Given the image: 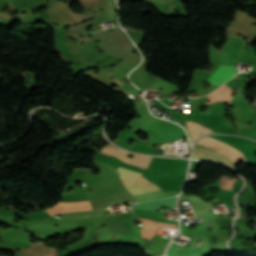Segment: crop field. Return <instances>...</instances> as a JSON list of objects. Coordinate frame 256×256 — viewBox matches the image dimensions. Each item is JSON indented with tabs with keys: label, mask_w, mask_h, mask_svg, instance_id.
Masks as SVG:
<instances>
[{
	"label": "crop field",
	"mask_w": 256,
	"mask_h": 256,
	"mask_svg": "<svg viewBox=\"0 0 256 256\" xmlns=\"http://www.w3.org/2000/svg\"><path fill=\"white\" fill-rule=\"evenodd\" d=\"M115 170L117 171V173L119 174V176L121 177L123 182L144 177L138 171L128 169V168H124V167H119ZM143 179H145V178H143ZM129 182H131V181H129ZM124 185L134 195L141 194V193H146V192H150V191H155V190H160L159 187H157L154 183H152L148 179L140 180V181H136V182H131V183H126Z\"/></svg>",
	"instance_id": "8a807250"
},
{
	"label": "crop field",
	"mask_w": 256,
	"mask_h": 256,
	"mask_svg": "<svg viewBox=\"0 0 256 256\" xmlns=\"http://www.w3.org/2000/svg\"><path fill=\"white\" fill-rule=\"evenodd\" d=\"M176 196L156 199L152 201H144L133 206L135 214H147L157 217H162V213H170V210H162L161 207L176 208L175 206ZM156 209H160L161 212H156Z\"/></svg>",
	"instance_id": "ac0d7876"
},
{
	"label": "crop field",
	"mask_w": 256,
	"mask_h": 256,
	"mask_svg": "<svg viewBox=\"0 0 256 256\" xmlns=\"http://www.w3.org/2000/svg\"><path fill=\"white\" fill-rule=\"evenodd\" d=\"M192 158L211 160L233 169L238 162L226 157L220 152L195 143Z\"/></svg>",
	"instance_id": "34b2d1b8"
},
{
	"label": "crop field",
	"mask_w": 256,
	"mask_h": 256,
	"mask_svg": "<svg viewBox=\"0 0 256 256\" xmlns=\"http://www.w3.org/2000/svg\"><path fill=\"white\" fill-rule=\"evenodd\" d=\"M101 152L107 155L116 156L124 162H127L137 167L145 168V169H147L149 163L153 158V157H146V156L134 155V154H133L134 155L133 158H129L127 157L129 153L120 151L114 148L113 146H110L109 144L103 147Z\"/></svg>",
	"instance_id": "412701ff"
},
{
	"label": "crop field",
	"mask_w": 256,
	"mask_h": 256,
	"mask_svg": "<svg viewBox=\"0 0 256 256\" xmlns=\"http://www.w3.org/2000/svg\"><path fill=\"white\" fill-rule=\"evenodd\" d=\"M134 105L138 112L137 115L141 116V118H133L131 121H129L132 128L131 130L135 132L138 130H142L159 120L158 118L151 115V113L147 109V105L145 104V102L140 103L139 101H134Z\"/></svg>",
	"instance_id": "f4fd0767"
},
{
	"label": "crop field",
	"mask_w": 256,
	"mask_h": 256,
	"mask_svg": "<svg viewBox=\"0 0 256 256\" xmlns=\"http://www.w3.org/2000/svg\"><path fill=\"white\" fill-rule=\"evenodd\" d=\"M235 72L236 70L234 69V66H219L218 69L207 80V82L210 85L223 84V82L230 79Z\"/></svg>",
	"instance_id": "dd49c442"
},
{
	"label": "crop field",
	"mask_w": 256,
	"mask_h": 256,
	"mask_svg": "<svg viewBox=\"0 0 256 256\" xmlns=\"http://www.w3.org/2000/svg\"><path fill=\"white\" fill-rule=\"evenodd\" d=\"M171 114L180 115V116L203 118V119H206L208 126L214 128L216 130H219V131L228 132L222 118L220 116H217V115H214V114L203 113L199 116H195V115H191V114H184V113H171Z\"/></svg>",
	"instance_id": "e52e79f7"
},
{
	"label": "crop field",
	"mask_w": 256,
	"mask_h": 256,
	"mask_svg": "<svg viewBox=\"0 0 256 256\" xmlns=\"http://www.w3.org/2000/svg\"><path fill=\"white\" fill-rule=\"evenodd\" d=\"M137 221L142 222L139 227L141 228L140 231L142 234V238L147 237L146 243L150 241V239L153 237L159 227L175 228V226L172 225L160 224L146 219H138Z\"/></svg>",
	"instance_id": "d8731c3e"
},
{
	"label": "crop field",
	"mask_w": 256,
	"mask_h": 256,
	"mask_svg": "<svg viewBox=\"0 0 256 256\" xmlns=\"http://www.w3.org/2000/svg\"><path fill=\"white\" fill-rule=\"evenodd\" d=\"M230 94H231V89L223 85L213 93L207 95L208 98L210 99V101H208L207 104L217 102V101H231L233 97L230 96Z\"/></svg>",
	"instance_id": "5a996713"
},
{
	"label": "crop field",
	"mask_w": 256,
	"mask_h": 256,
	"mask_svg": "<svg viewBox=\"0 0 256 256\" xmlns=\"http://www.w3.org/2000/svg\"><path fill=\"white\" fill-rule=\"evenodd\" d=\"M187 127L190 131V134H191L193 140H196L197 138L201 137L203 134L212 133L210 131H207L205 129H202L200 127L192 125L190 123H188Z\"/></svg>",
	"instance_id": "3316defc"
},
{
	"label": "crop field",
	"mask_w": 256,
	"mask_h": 256,
	"mask_svg": "<svg viewBox=\"0 0 256 256\" xmlns=\"http://www.w3.org/2000/svg\"><path fill=\"white\" fill-rule=\"evenodd\" d=\"M46 212H48L50 214V216H54L56 213H64L67 212L64 208H62L59 204L54 205L53 208L47 210Z\"/></svg>",
	"instance_id": "28ad6ade"
},
{
	"label": "crop field",
	"mask_w": 256,
	"mask_h": 256,
	"mask_svg": "<svg viewBox=\"0 0 256 256\" xmlns=\"http://www.w3.org/2000/svg\"><path fill=\"white\" fill-rule=\"evenodd\" d=\"M222 180H223V179H222ZM229 181H230V180H226V179H224V180H223L222 185H221V183H220V185H221V186H224V187H227V186H228ZM221 182H222V181H221Z\"/></svg>",
	"instance_id": "d1516ede"
},
{
	"label": "crop field",
	"mask_w": 256,
	"mask_h": 256,
	"mask_svg": "<svg viewBox=\"0 0 256 256\" xmlns=\"http://www.w3.org/2000/svg\"><path fill=\"white\" fill-rule=\"evenodd\" d=\"M113 82L115 83V84H117V85H119L120 83H118L117 81H115V80H113Z\"/></svg>",
	"instance_id": "22f410ed"
},
{
	"label": "crop field",
	"mask_w": 256,
	"mask_h": 256,
	"mask_svg": "<svg viewBox=\"0 0 256 256\" xmlns=\"http://www.w3.org/2000/svg\"><path fill=\"white\" fill-rule=\"evenodd\" d=\"M201 243H202V241H201L199 244H201ZM199 244H198V245H199ZM198 245H196V246H198Z\"/></svg>",
	"instance_id": "cbeb9de0"
}]
</instances>
